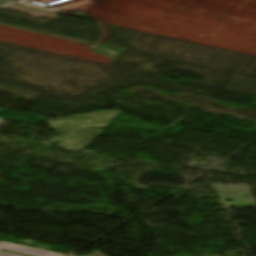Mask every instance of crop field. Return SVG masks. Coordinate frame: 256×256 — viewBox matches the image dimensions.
<instances>
[{
	"label": "crop field",
	"mask_w": 256,
	"mask_h": 256,
	"mask_svg": "<svg viewBox=\"0 0 256 256\" xmlns=\"http://www.w3.org/2000/svg\"><path fill=\"white\" fill-rule=\"evenodd\" d=\"M0 256H22V255H17V254L1 251Z\"/></svg>",
	"instance_id": "crop-field-2"
},
{
	"label": "crop field",
	"mask_w": 256,
	"mask_h": 256,
	"mask_svg": "<svg viewBox=\"0 0 256 256\" xmlns=\"http://www.w3.org/2000/svg\"><path fill=\"white\" fill-rule=\"evenodd\" d=\"M0 245L3 249H7V250H11V251L31 255V256H64V255L53 253V252L43 251V250L34 249V248L12 244L8 242H3V241H0Z\"/></svg>",
	"instance_id": "crop-field-1"
},
{
	"label": "crop field",
	"mask_w": 256,
	"mask_h": 256,
	"mask_svg": "<svg viewBox=\"0 0 256 256\" xmlns=\"http://www.w3.org/2000/svg\"><path fill=\"white\" fill-rule=\"evenodd\" d=\"M3 121H4V119H0V123L3 122Z\"/></svg>",
	"instance_id": "crop-field-4"
},
{
	"label": "crop field",
	"mask_w": 256,
	"mask_h": 256,
	"mask_svg": "<svg viewBox=\"0 0 256 256\" xmlns=\"http://www.w3.org/2000/svg\"><path fill=\"white\" fill-rule=\"evenodd\" d=\"M66 256H74V255L67 254ZM89 256H104V255L99 253L98 251H96L95 253H93V254H91Z\"/></svg>",
	"instance_id": "crop-field-3"
}]
</instances>
